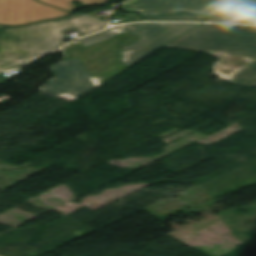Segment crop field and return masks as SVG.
<instances>
[{"label":"crop field","instance_id":"crop-field-7","mask_svg":"<svg viewBox=\"0 0 256 256\" xmlns=\"http://www.w3.org/2000/svg\"><path fill=\"white\" fill-rule=\"evenodd\" d=\"M70 13L34 0H0V24L22 26L65 17Z\"/></svg>","mask_w":256,"mask_h":256},{"label":"crop field","instance_id":"crop-field-14","mask_svg":"<svg viewBox=\"0 0 256 256\" xmlns=\"http://www.w3.org/2000/svg\"><path fill=\"white\" fill-rule=\"evenodd\" d=\"M136 1H138V0H127V1H125V2H123V3H121V4H119V5H121V6L125 7V8H127V7H129L130 5H132L133 3H135Z\"/></svg>","mask_w":256,"mask_h":256},{"label":"crop field","instance_id":"crop-field-4","mask_svg":"<svg viewBox=\"0 0 256 256\" xmlns=\"http://www.w3.org/2000/svg\"><path fill=\"white\" fill-rule=\"evenodd\" d=\"M200 24H135L125 26L141 40L128 46L132 52L122 63L130 66Z\"/></svg>","mask_w":256,"mask_h":256},{"label":"crop field","instance_id":"crop-field-12","mask_svg":"<svg viewBox=\"0 0 256 256\" xmlns=\"http://www.w3.org/2000/svg\"><path fill=\"white\" fill-rule=\"evenodd\" d=\"M208 17L178 13L169 17L144 18V21H198L203 22Z\"/></svg>","mask_w":256,"mask_h":256},{"label":"crop field","instance_id":"crop-field-6","mask_svg":"<svg viewBox=\"0 0 256 256\" xmlns=\"http://www.w3.org/2000/svg\"><path fill=\"white\" fill-rule=\"evenodd\" d=\"M56 78L50 80L41 91L59 95L67 93L78 97L95 88L92 75L78 57L51 67Z\"/></svg>","mask_w":256,"mask_h":256},{"label":"crop field","instance_id":"crop-field-5","mask_svg":"<svg viewBox=\"0 0 256 256\" xmlns=\"http://www.w3.org/2000/svg\"><path fill=\"white\" fill-rule=\"evenodd\" d=\"M238 0H140L126 12L142 16L168 15L178 11L213 16Z\"/></svg>","mask_w":256,"mask_h":256},{"label":"crop field","instance_id":"crop-field-11","mask_svg":"<svg viewBox=\"0 0 256 256\" xmlns=\"http://www.w3.org/2000/svg\"><path fill=\"white\" fill-rule=\"evenodd\" d=\"M39 1H42L44 3L53 5L55 7L64 9V10L69 11V12H72V11L76 10V8L70 2V1H74V0H39ZM79 1L85 7L107 3V0H79Z\"/></svg>","mask_w":256,"mask_h":256},{"label":"crop field","instance_id":"crop-field-10","mask_svg":"<svg viewBox=\"0 0 256 256\" xmlns=\"http://www.w3.org/2000/svg\"><path fill=\"white\" fill-rule=\"evenodd\" d=\"M208 54H211L213 56H216L222 59L231 76L236 70L244 67L245 65L255 60V59H251V58L239 56V55L221 54V53H208Z\"/></svg>","mask_w":256,"mask_h":256},{"label":"crop field","instance_id":"crop-field-2","mask_svg":"<svg viewBox=\"0 0 256 256\" xmlns=\"http://www.w3.org/2000/svg\"><path fill=\"white\" fill-rule=\"evenodd\" d=\"M62 45L49 21L22 28L0 27V71L19 67Z\"/></svg>","mask_w":256,"mask_h":256},{"label":"crop field","instance_id":"crop-field-13","mask_svg":"<svg viewBox=\"0 0 256 256\" xmlns=\"http://www.w3.org/2000/svg\"><path fill=\"white\" fill-rule=\"evenodd\" d=\"M115 28V27H114ZM114 28H111L105 32H102V33H99V34H96V35H93V36H90V37H87V38H83V39H80L78 40L80 43H82L83 45L85 46H91L93 44H96L100 41H103L105 39H108V38H111V36H109L108 34L114 29Z\"/></svg>","mask_w":256,"mask_h":256},{"label":"crop field","instance_id":"crop-field-3","mask_svg":"<svg viewBox=\"0 0 256 256\" xmlns=\"http://www.w3.org/2000/svg\"><path fill=\"white\" fill-rule=\"evenodd\" d=\"M116 30L118 31H112L109 34L112 36L111 39L105 40L91 47H85L80 43H71L63 48L68 55L67 60L75 56L79 57L85 67L93 75V82L95 86L100 85L128 67L121 63L127 59L126 54L130 52L126 46L141 39L130 35L125 30L124 26H117ZM122 31H124V33L116 37ZM131 36L132 38L128 41L121 45L118 44L127 40Z\"/></svg>","mask_w":256,"mask_h":256},{"label":"crop field","instance_id":"crop-field-8","mask_svg":"<svg viewBox=\"0 0 256 256\" xmlns=\"http://www.w3.org/2000/svg\"><path fill=\"white\" fill-rule=\"evenodd\" d=\"M58 38L66 39L63 32L67 28L76 27L82 36L106 28L107 23L101 18L93 17L90 14L72 15L68 19L50 21Z\"/></svg>","mask_w":256,"mask_h":256},{"label":"crop field","instance_id":"crop-field-9","mask_svg":"<svg viewBox=\"0 0 256 256\" xmlns=\"http://www.w3.org/2000/svg\"><path fill=\"white\" fill-rule=\"evenodd\" d=\"M208 21L256 24V0H242Z\"/></svg>","mask_w":256,"mask_h":256},{"label":"crop field","instance_id":"crop-field-1","mask_svg":"<svg viewBox=\"0 0 256 256\" xmlns=\"http://www.w3.org/2000/svg\"><path fill=\"white\" fill-rule=\"evenodd\" d=\"M166 46L256 59V26L202 24ZM231 80L242 86L256 84V61L236 71Z\"/></svg>","mask_w":256,"mask_h":256}]
</instances>
